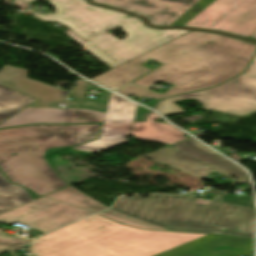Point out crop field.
Masks as SVG:
<instances>
[{"label": "crop field", "mask_w": 256, "mask_h": 256, "mask_svg": "<svg viewBox=\"0 0 256 256\" xmlns=\"http://www.w3.org/2000/svg\"><path fill=\"white\" fill-rule=\"evenodd\" d=\"M255 49L253 43L192 31L90 80L114 91L149 71L140 64L152 58L164 64L132 84L150 88L161 80L174 87L164 94L132 85L117 92L159 99L210 88L242 73Z\"/></svg>", "instance_id": "1"}, {"label": "crop field", "mask_w": 256, "mask_h": 256, "mask_svg": "<svg viewBox=\"0 0 256 256\" xmlns=\"http://www.w3.org/2000/svg\"><path fill=\"white\" fill-rule=\"evenodd\" d=\"M101 127L102 123L0 130V170L34 200L67 188L71 185L46 156L99 139Z\"/></svg>", "instance_id": "2"}, {"label": "crop field", "mask_w": 256, "mask_h": 256, "mask_svg": "<svg viewBox=\"0 0 256 256\" xmlns=\"http://www.w3.org/2000/svg\"><path fill=\"white\" fill-rule=\"evenodd\" d=\"M27 2L32 0H25ZM56 9V13L37 14L44 21H57L69 27L84 40L110 31L120 26L128 37L120 40L107 33L84 42L71 31H65L72 39L98 57L110 68L133 58L151 48L180 36L187 30H156L144 26L143 21L127 14L89 5L85 0H46ZM67 3H70L67 5ZM132 37H136L133 39ZM144 37L149 38L146 40ZM116 41H119L116 43ZM139 46H135L136 44ZM155 43L153 46L151 44Z\"/></svg>", "instance_id": "3"}, {"label": "crop field", "mask_w": 256, "mask_h": 256, "mask_svg": "<svg viewBox=\"0 0 256 256\" xmlns=\"http://www.w3.org/2000/svg\"><path fill=\"white\" fill-rule=\"evenodd\" d=\"M206 235L142 231L98 214L33 241V256H154Z\"/></svg>", "instance_id": "4"}, {"label": "crop field", "mask_w": 256, "mask_h": 256, "mask_svg": "<svg viewBox=\"0 0 256 256\" xmlns=\"http://www.w3.org/2000/svg\"><path fill=\"white\" fill-rule=\"evenodd\" d=\"M206 192L218 196L212 202L187 196L153 195L146 200L139 198L140 195L132 199L124 196L111 209L170 231L253 238L256 211L220 201L226 193L211 189Z\"/></svg>", "instance_id": "5"}, {"label": "crop field", "mask_w": 256, "mask_h": 256, "mask_svg": "<svg viewBox=\"0 0 256 256\" xmlns=\"http://www.w3.org/2000/svg\"><path fill=\"white\" fill-rule=\"evenodd\" d=\"M28 70L5 65L0 70V85L38 99L10 119L2 122L0 128L37 123H89L103 122L105 112L82 108L88 82L81 79L68 97L72 106L67 109L50 107L64 101L61 90L27 78Z\"/></svg>", "instance_id": "6"}, {"label": "crop field", "mask_w": 256, "mask_h": 256, "mask_svg": "<svg viewBox=\"0 0 256 256\" xmlns=\"http://www.w3.org/2000/svg\"><path fill=\"white\" fill-rule=\"evenodd\" d=\"M196 98L204 108L239 115L256 110V56L248 71L233 80L217 87L183 96L161 100L157 106L165 116L182 112L172 104L173 100Z\"/></svg>", "instance_id": "7"}, {"label": "crop field", "mask_w": 256, "mask_h": 256, "mask_svg": "<svg viewBox=\"0 0 256 256\" xmlns=\"http://www.w3.org/2000/svg\"><path fill=\"white\" fill-rule=\"evenodd\" d=\"M146 158L203 179L212 169L238 182H250L248 174L231 161L219 156L197 140L191 138L174 148L168 147Z\"/></svg>", "instance_id": "8"}, {"label": "crop field", "mask_w": 256, "mask_h": 256, "mask_svg": "<svg viewBox=\"0 0 256 256\" xmlns=\"http://www.w3.org/2000/svg\"><path fill=\"white\" fill-rule=\"evenodd\" d=\"M183 26L250 37L256 32V0H215Z\"/></svg>", "instance_id": "9"}, {"label": "crop field", "mask_w": 256, "mask_h": 256, "mask_svg": "<svg viewBox=\"0 0 256 256\" xmlns=\"http://www.w3.org/2000/svg\"><path fill=\"white\" fill-rule=\"evenodd\" d=\"M93 214L60 202L40 198L36 201L0 214V222H19L46 233L76 219Z\"/></svg>", "instance_id": "10"}, {"label": "crop field", "mask_w": 256, "mask_h": 256, "mask_svg": "<svg viewBox=\"0 0 256 256\" xmlns=\"http://www.w3.org/2000/svg\"><path fill=\"white\" fill-rule=\"evenodd\" d=\"M137 105L110 95L100 139L72 149L99 153L127 143ZM123 121L124 123H112Z\"/></svg>", "instance_id": "11"}, {"label": "crop field", "mask_w": 256, "mask_h": 256, "mask_svg": "<svg viewBox=\"0 0 256 256\" xmlns=\"http://www.w3.org/2000/svg\"><path fill=\"white\" fill-rule=\"evenodd\" d=\"M253 240L209 235L157 256H252Z\"/></svg>", "instance_id": "12"}, {"label": "crop field", "mask_w": 256, "mask_h": 256, "mask_svg": "<svg viewBox=\"0 0 256 256\" xmlns=\"http://www.w3.org/2000/svg\"><path fill=\"white\" fill-rule=\"evenodd\" d=\"M149 17L154 24L171 25L199 0H94Z\"/></svg>", "instance_id": "13"}, {"label": "crop field", "mask_w": 256, "mask_h": 256, "mask_svg": "<svg viewBox=\"0 0 256 256\" xmlns=\"http://www.w3.org/2000/svg\"><path fill=\"white\" fill-rule=\"evenodd\" d=\"M160 118L156 113H151L146 123H135L131 135L134 140L155 141L166 144H174L178 141L186 139L182 131L165 123L153 122L154 119Z\"/></svg>", "instance_id": "14"}, {"label": "crop field", "mask_w": 256, "mask_h": 256, "mask_svg": "<svg viewBox=\"0 0 256 256\" xmlns=\"http://www.w3.org/2000/svg\"><path fill=\"white\" fill-rule=\"evenodd\" d=\"M33 201L25 189L11 184L0 171V213Z\"/></svg>", "instance_id": "15"}, {"label": "crop field", "mask_w": 256, "mask_h": 256, "mask_svg": "<svg viewBox=\"0 0 256 256\" xmlns=\"http://www.w3.org/2000/svg\"><path fill=\"white\" fill-rule=\"evenodd\" d=\"M35 100L36 99L0 86V123Z\"/></svg>", "instance_id": "16"}, {"label": "crop field", "mask_w": 256, "mask_h": 256, "mask_svg": "<svg viewBox=\"0 0 256 256\" xmlns=\"http://www.w3.org/2000/svg\"><path fill=\"white\" fill-rule=\"evenodd\" d=\"M51 199H55L61 202L69 203L75 206H79L82 208L89 209L91 211L97 212L101 211L106 206L98 203L94 199L90 198L89 196L69 187L67 189H64L62 191L56 192L54 194H51L49 196H46Z\"/></svg>", "instance_id": "17"}, {"label": "crop field", "mask_w": 256, "mask_h": 256, "mask_svg": "<svg viewBox=\"0 0 256 256\" xmlns=\"http://www.w3.org/2000/svg\"><path fill=\"white\" fill-rule=\"evenodd\" d=\"M99 214H101L103 216H106L110 219H113L117 222L124 223V224H127V225H131V226L141 228V229L165 230V229L160 228L158 226H155L153 224H150V223H147L145 221L133 218L131 216L116 212V211L111 210V209L103 211ZM166 231H168V230H166Z\"/></svg>", "instance_id": "18"}, {"label": "crop field", "mask_w": 256, "mask_h": 256, "mask_svg": "<svg viewBox=\"0 0 256 256\" xmlns=\"http://www.w3.org/2000/svg\"><path fill=\"white\" fill-rule=\"evenodd\" d=\"M212 1L214 0H200L187 12H185L178 20H176L172 25L182 26L184 23H186L189 19H191L194 15H196L199 11L205 8Z\"/></svg>", "instance_id": "19"}, {"label": "crop field", "mask_w": 256, "mask_h": 256, "mask_svg": "<svg viewBox=\"0 0 256 256\" xmlns=\"http://www.w3.org/2000/svg\"><path fill=\"white\" fill-rule=\"evenodd\" d=\"M27 242L29 241L7 235L0 231V253Z\"/></svg>", "instance_id": "20"}, {"label": "crop field", "mask_w": 256, "mask_h": 256, "mask_svg": "<svg viewBox=\"0 0 256 256\" xmlns=\"http://www.w3.org/2000/svg\"><path fill=\"white\" fill-rule=\"evenodd\" d=\"M222 200L230 202V203H234V204H237V205H240V206H244V207H247V208L255 209L254 200H251V198H249V197H245V196L232 197V196L227 195Z\"/></svg>", "instance_id": "21"}, {"label": "crop field", "mask_w": 256, "mask_h": 256, "mask_svg": "<svg viewBox=\"0 0 256 256\" xmlns=\"http://www.w3.org/2000/svg\"><path fill=\"white\" fill-rule=\"evenodd\" d=\"M148 113H149V110H147L141 106H138L134 121H144L145 117L147 116Z\"/></svg>", "instance_id": "22"}, {"label": "crop field", "mask_w": 256, "mask_h": 256, "mask_svg": "<svg viewBox=\"0 0 256 256\" xmlns=\"http://www.w3.org/2000/svg\"><path fill=\"white\" fill-rule=\"evenodd\" d=\"M17 5L21 6L22 8H24L25 10H27V6H29L28 4L20 1V0H15V2Z\"/></svg>", "instance_id": "23"}, {"label": "crop field", "mask_w": 256, "mask_h": 256, "mask_svg": "<svg viewBox=\"0 0 256 256\" xmlns=\"http://www.w3.org/2000/svg\"><path fill=\"white\" fill-rule=\"evenodd\" d=\"M157 101H154V102H149V103H144V105H147L151 108H154L155 104H156Z\"/></svg>", "instance_id": "24"}, {"label": "crop field", "mask_w": 256, "mask_h": 256, "mask_svg": "<svg viewBox=\"0 0 256 256\" xmlns=\"http://www.w3.org/2000/svg\"><path fill=\"white\" fill-rule=\"evenodd\" d=\"M250 38L256 39V33L252 37H250Z\"/></svg>", "instance_id": "25"}, {"label": "crop field", "mask_w": 256, "mask_h": 256, "mask_svg": "<svg viewBox=\"0 0 256 256\" xmlns=\"http://www.w3.org/2000/svg\"><path fill=\"white\" fill-rule=\"evenodd\" d=\"M0 1H2V0H0Z\"/></svg>", "instance_id": "26"}]
</instances>
